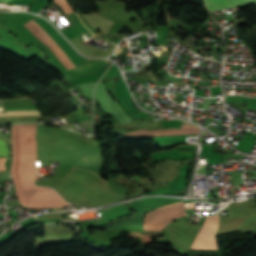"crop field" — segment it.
<instances>
[{
  "label": "crop field",
  "mask_w": 256,
  "mask_h": 256,
  "mask_svg": "<svg viewBox=\"0 0 256 256\" xmlns=\"http://www.w3.org/2000/svg\"><path fill=\"white\" fill-rule=\"evenodd\" d=\"M35 124L12 125L13 162L11 177L22 205L28 208L68 206L53 189L35 187L39 178L35 161L40 163L72 161L69 143L34 141ZM44 166V164H40Z\"/></svg>",
  "instance_id": "1"
},
{
  "label": "crop field",
  "mask_w": 256,
  "mask_h": 256,
  "mask_svg": "<svg viewBox=\"0 0 256 256\" xmlns=\"http://www.w3.org/2000/svg\"><path fill=\"white\" fill-rule=\"evenodd\" d=\"M183 201L147 213L144 220V230L161 231L165 226L182 216H186Z\"/></svg>",
  "instance_id": "2"
},
{
  "label": "crop field",
  "mask_w": 256,
  "mask_h": 256,
  "mask_svg": "<svg viewBox=\"0 0 256 256\" xmlns=\"http://www.w3.org/2000/svg\"><path fill=\"white\" fill-rule=\"evenodd\" d=\"M218 215L206 217L204 225L197 235L191 249L216 250L214 234L218 229Z\"/></svg>",
  "instance_id": "3"
},
{
  "label": "crop field",
  "mask_w": 256,
  "mask_h": 256,
  "mask_svg": "<svg viewBox=\"0 0 256 256\" xmlns=\"http://www.w3.org/2000/svg\"><path fill=\"white\" fill-rule=\"evenodd\" d=\"M5 109L35 108L29 99L3 101ZM6 113H0V116L15 115H41L37 109L5 110Z\"/></svg>",
  "instance_id": "4"
},
{
  "label": "crop field",
  "mask_w": 256,
  "mask_h": 256,
  "mask_svg": "<svg viewBox=\"0 0 256 256\" xmlns=\"http://www.w3.org/2000/svg\"><path fill=\"white\" fill-rule=\"evenodd\" d=\"M208 11H216L230 7L256 3L254 0H206Z\"/></svg>",
  "instance_id": "5"
},
{
  "label": "crop field",
  "mask_w": 256,
  "mask_h": 256,
  "mask_svg": "<svg viewBox=\"0 0 256 256\" xmlns=\"http://www.w3.org/2000/svg\"><path fill=\"white\" fill-rule=\"evenodd\" d=\"M83 16L90 22V24L96 29L107 31L112 22L98 16V15H85Z\"/></svg>",
  "instance_id": "6"
},
{
  "label": "crop field",
  "mask_w": 256,
  "mask_h": 256,
  "mask_svg": "<svg viewBox=\"0 0 256 256\" xmlns=\"http://www.w3.org/2000/svg\"><path fill=\"white\" fill-rule=\"evenodd\" d=\"M0 138L4 141H6L7 143H9V140L3 136L0 135ZM0 139V157H8L9 155V144H7L6 142L2 141Z\"/></svg>",
  "instance_id": "7"
},
{
  "label": "crop field",
  "mask_w": 256,
  "mask_h": 256,
  "mask_svg": "<svg viewBox=\"0 0 256 256\" xmlns=\"http://www.w3.org/2000/svg\"><path fill=\"white\" fill-rule=\"evenodd\" d=\"M9 0H0V2H4V3H6V2H8Z\"/></svg>",
  "instance_id": "8"
}]
</instances>
